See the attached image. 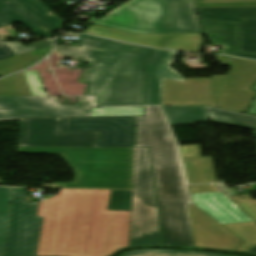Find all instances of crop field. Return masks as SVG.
<instances>
[{
  "mask_svg": "<svg viewBox=\"0 0 256 256\" xmlns=\"http://www.w3.org/2000/svg\"><path fill=\"white\" fill-rule=\"evenodd\" d=\"M88 22L136 34L201 32L193 0H130Z\"/></svg>",
  "mask_w": 256,
  "mask_h": 256,
  "instance_id": "412701ff",
  "label": "crop field"
},
{
  "mask_svg": "<svg viewBox=\"0 0 256 256\" xmlns=\"http://www.w3.org/2000/svg\"><path fill=\"white\" fill-rule=\"evenodd\" d=\"M18 151L59 154L77 173L74 183L44 187L132 189L134 148H18Z\"/></svg>",
  "mask_w": 256,
  "mask_h": 256,
  "instance_id": "34b2d1b8",
  "label": "crop field"
},
{
  "mask_svg": "<svg viewBox=\"0 0 256 256\" xmlns=\"http://www.w3.org/2000/svg\"><path fill=\"white\" fill-rule=\"evenodd\" d=\"M255 138H256V131H255Z\"/></svg>",
  "mask_w": 256,
  "mask_h": 256,
  "instance_id": "b54c1fbb",
  "label": "crop field"
},
{
  "mask_svg": "<svg viewBox=\"0 0 256 256\" xmlns=\"http://www.w3.org/2000/svg\"><path fill=\"white\" fill-rule=\"evenodd\" d=\"M2 41L0 40V43H1Z\"/></svg>",
  "mask_w": 256,
  "mask_h": 256,
  "instance_id": "5d738f31",
  "label": "crop field"
},
{
  "mask_svg": "<svg viewBox=\"0 0 256 256\" xmlns=\"http://www.w3.org/2000/svg\"><path fill=\"white\" fill-rule=\"evenodd\" d=\"M191 193L219 192L213 185L189 186Z\"/></svg>",
  "mask_w": 256,
  "mask_h": 256,
  "instance_id": "0bd39190",
  "label": "crop field"
},
{
  "mask_svg": "<svg viewBox=\"0 0 256 256\" xmlns=\"http://www.w3.org/2000/svg\"><path fill=\"white\" fill-rule=\"evenodd\" d=\"M61 118L20 121L19 147H97L100 132L60 133Z\"/></svg>",
  "mask_w": 256,
  "mask_h": 256,
  "instance_id": "3316defc",
  "label": "crop field"
},
{
  "mask_svg": "<svg viewBox=\"0 0 256 256\" xmlns=\"http://www.w3.org/2000/svg\"><path fill=\"white\" fill-rule=\"evenodd\" d=\"M161 246L148 149H135L131 246Z\"/></svg>",
  "mask_w": 256,
  "mask_h": 256,
  "instance_id": "dd49c442",
  "label": "crop field"
},
{
  "mask_svg": "<svg viewBox=\"0 0 256 256\" xmlns=\"http://www.w3.org/2000/svg\"><path fill=\"white\" fill-rule=\"evenodd\" d=\"M170 124L210 121L204 107H162Z\"/></svg>",
  "mask_w": 256,
  "mask_h": 256,
  "instance_id": "4177f3b9",
  "label": "crop field"
},
{
  "mask_svg": "<svg viewBox=\"0 0 256 256\" xmlns=\"http://www.w3.org/2000/svg\"><path fill=\"white\" fill-rule=\"evenodd\" d=\"M0 96H31L23 72L0 80Z\"/></svg>",
  "mask_w": 256,
  "mask_h": 256,
  "instance_id": "eef30255",
  "label": "crop field"
},
{
  "mask_svg": "<svg viewBox=\"0 0 256 256\" xmlns=\"http://www.w3.org/2000/svg\"><path fill=\"white\" fill-rule=\"evenodd\" d=\"M231 197L230 199L242 209L256 223V201H253L250 195Z\"/></svg>",
  "mask_w": 256,
  "mask_h": 256,
  "instance_id": "120bbe31",
  "label": "crop field"
},
{
  "mask_svg": "<svg viewBox=\"0 0 256 256\" xmlns=\"http://www.w3.org/2000/svg\"><path fill=\"white\" fill-rule=\"evenodd\" d=\"M20 23L34 33H40L45 38H53L49 28L41 24L39 21L25 13L23 10L9 2L8 0H0V27Z\"/></svg>",
  "mask_w": 256,
  "mask_h": 256,
  "instance_id": "92a150f3",
  "label": "crop field"
},
{
  "mask_svg": "<svg viewBox=\"0 0 256 256\" xmlns=\"http://www.w3.org/2000/svg\"><path fill=\"white\" fill-rule=\"evenodd\" d=\"M197 7L256 6V0H195Z\"/></svg>",
  "mask_w": 256,
  "mask_h": 256,
  "instance_id": "1d83c4d3",
  "label": "crop field"
},
{
  "mask_svg": "<svg viewBox=\"0 0 256 256\" xmlns=\"http://www.w3.org/2000/svg\"><path fill=\"white\" fill-rule=\"evenodd\" d=\"M55 50L71 60L87 61L78 82L88 84L83 95L96 96L114 70L121 54L58 45Z\"/></svg>",
  "mask_w": 256,
  "mask_h": 256,
  "instance_id": "d1516ede",
  "label": "crop field"
},
{
  "mask_svg": "<svg viewBox=\"0 0 256 256\" xmlns=\"http://www.w3.org/2000/svg\"><path fill=\"white\" fill-rule=\"evenodd\" d=\"M248 253L256 254V247H254L253 249H251L250 251H248Z\"/></svg>",
  "mask_w": 256,
  "mask_h": 256,
  "instance_id": "03da06ac",
  "label": "crop field"
},
{
  "mask_svg": "<svg viewBox=\"0 0 256 256\" xmlns=\"http://www.w3.org/2000/svg\"><path fill=\"white\" fill-rule=\"evenodd\" d=\"M253 89H256V86L253 88ZM248 113L250 114H256V99L255 101L253 102L251 108L249 109Z\"/></svg>",
  "mask_w": 256,
  "mask_h": 256,
  "instance_id": "c21b1889",
  "label": "crop field"
},
{
  "mask_svg": "<svg viewBox=\"0 0 256 256\" xmlns=\"http://www.w3.org/2000/svg\"><path fill=\"white\" fill-rule=\"evenodd\" d=\"M199 18L239 23V51L256 53V7L197 8Z\"/></svg>",
  "mask_w": 256,
  "mask_h": 256,
  "instance_id": "5142ce71",
  "label": "crop field"
},
{
  "mask_svg": "<svg viewBox=\"0 0 256 256\" xmlns=\"http://www.w3.org/2000/svg\"><path fill=\"white\" fill-rule=\"evenodd\" d=\"M6 45L16 54L27 53L52 46V40L43 41L41 43H33L22 46L20 42L6 43Z\"/></svg>",
  "mask_w": 256,
  "mask_h": 256,
  "instance_id": "5866460e",
  "label": "crop field"
},
{
  "mask_svg": "<svg viewBox=\"0 0 256 256\" xmlns=\"http://www.w3.org/2000/svg\"><path fill=\"white\" fill-rule=\"evenodd\" d=\"M163 105H207L215 107L210 78L163 79Z\"/></svg>",
  "mask_w": 256,
  "mask_h": 256,
  "instance_id": "d9b57169",
  "label": "crop field"
},
{
  "mask_svg": "<svg viewBox=\"0 0 256 256\" xmlns=\"http://www.w3.org/2000/svg\"><path fill=\"white\" fill-rule=\"evenodd\" d=\"M51 48L15 56V57L0 61V75L4 76V75L12 74L29 67L30 65L34 64L38 60L47 56L50 53Z\"/></svg>",
  "mask_w": 256,
  "mask_h": 256,
  "instance_id": "730fd06b",
  "label": "crop field"
},
{
  "mask_svg": "<svg viewBox=\"0 0 256 256\" xmlns=\"http://www.w3.org/2000/svg\"><path fill=\"white\" fill-rule=\"evenodd\" d=\"M190 184L219 182L212 157L182 159Z\"/></svg>",
  "mask_w": 256,
  "mask_h": 256,
  "instance_id": "dafd665d",
  "label": "crop field"
},
{
  "mask_svg": "<svg viewBox=\"0 0 256 256\" xmlns=\"http://www.w3.org/2000/svg\"><path fill=\"white\" fill-rule=\"evenodd\" d=\"M187 208L195 247L234 251L244 242L195 205Z\"/></svg>",
  "mask_w": 256,
  "mask_h": 256,
  "instance_id": "cbeb9de0",
  "label": "crop field"
},
{
  "mask_svg": "<svg viewBox=\"0 0 256 256\" xmlns=\"http://www.w3.org/2000/svg\"><path fill=\"white\" fill-rule=\"evenodd\" d=\"M206 109L212 121L227 126L256 130V116L212 107H206Z\"/></svg>",
  "mask_w": 256,
  "mask_h": 256,
  "instance_id": "00972430",
  "label": "crop field"
},
{
  "mask_svg": "<svg viewBox=\"0 0 256 256\" xmlns=\"http://www.w3.org/2000/svg\"><path fill=\"white\" fill-rule=\"evenodd\" d=\"M26 189L13 188L7 243L4 256H35L42 217L37 203H24Z\"/></svg>",
  "mask_w": 256,
  "mask_h": 256,
  "instance_id": "d8731c3e",
  "label": "crop field"
},
{
  "mask_svg": "<svg viewBox=\"0 0 256 256\" xmlns=\"http://www.w3.org/2000/svg\"><path fill=\"white\" fill-rule=\"evenodd\" d=\"M229 58L230 71L225 76H210L217 107L246 113L256 91V61Z\"/></svg>",
  "mask_w": 256,
  "mask_h": 256,
  "instance_id": "e52e79f7",
  "label": "crop field"
},
{
  "mask_svg": "<svg viewBox=\"0 0 256 256\" xmlns=\"http://www.w3.org/2000/svg\"><path fill=\"white\" fill-rule=\"evenodd\" d=\"M132 191H112L108 210H131Z\"/></svg>",
  "mask_w": 256,
  "mask_h": 256,
  "instance_id": "bd1437ed",
  "label": "crop field"
},
{
  "mask_svg": "<svg viewBox=\"0 0 256 256\" xmlns=\"http://www.w3.org/2000/svg\"><path fill=\"white\" fill-rule=\"evenodd\" d=\"M15 56V54L5 45L0 44V60Z\"/></svg>",
  "mask_w": 256,
  "mask_h": 256,
  "instance_id": "b80d0937",
  "label": "crop field"
},
{
  "mask_svg": "<svg viewBox=\"0 0 256 256\" xmlns=\"http://www.w3.org/2000/svg\"><path fill=\"white\" fill-rule=\"evenodd\" d=\"M131 211H106L98 256L129 247Z\"/></svg>",
  "mask_w": 256,
  "mask_h": 256,
  "instance_id": "4a817a6b",
  "label": "crop field"
},
{
  "mask_svg": "<svg viewBox=\"0 0 256 256\" xmlns=\"http://www.w3.org/2000/svg\"><path fill=\"white\" fill-rule=\"evenodd\" d=\"M91 116H143V107L93 108Z\"/></svg>",
  "mask_w": 256,
  "mask_h": 256,
  "instance_id": "750c4746",
  "label": "crop field"
},
{
  "mask_svg": "<svg viewBox=\"0 0 256 256\" xmlns=\"http://www.w3.org/2000/svg\"><path fill=\"white\" fill-rule=\"evenodd\" d=\"M10 199L11 188L0 187V256L3 253Z\"/></svg>",
  "mask_w": 256,
  "mask_h": 256,
  "instance_id": "d3111659",
  "label": "crop field"
},
{
  "mask_svg": "<svg viewBox=\"0 0 256 256\" xmlns=\"http://www.w3.org/2000/svg\"><path fill=\"white\" fill-rule=\"evenodd\" d=\"M245 242L236 251L246 252L256 246V225L253 222L224 225Z\"/></svg>",
  "mask_w": 256,
  "mask_h": 256,
  "instance_id": "ae1a2a85",
  "label": "crop field"
},
{
  "mask_svg": "<svg viewBox=\"0 0 256 256\" xmlns=\"http://www.w3.org/2000/svg\"><path fill=\"white\" fill-rule=\"evenodd\" d=\"M137 117L135 147H150L164 246L194 247L186 205L191 204L174 138L158 107Z\"/></svg>",
  "mask_w": 256,
  "mask_h": 256,
  "instance_id": "8a807250",
  "label": "crop field"
},
{
  "mask_svg": "<svg viewBox=\"0 0 256 256\" xmlns=\"http://www.w3.org/2000/svg\"><path fill=\"white\" fill-rule=\"evenodd\" d=\"M91 104L88 97L78 98L73 105H60L58 97H0V120L90 116Z\"/></svg>",
  "mask_w": 256,
  "mask_h": 256,
  "instance_id": "5a996713",
  "label": "crop field"
},
{
  "mask_svg": "<svg viewBox=\"0 0 256 256\" xmlns=\"http://www.w3.org/2000/svg\"><path fill=\"white\" fill-rule=\"evenodd\" d=\"M83 32L129 43L187 52H199L203 41L201 33L136 35L95 24Z\"/></svg>",
  "mask_w": 256,
  "mask_h": 256,
  "instance_id": "22f410ed",
  "label": "crop field"
},
{
  "mask_svg": "<svg viewBox=\"0 0 256 256\" xmlns=\"http://www.w3.org/2000/svg\"><path fill=\"white\" fill-rule=\"evenodd\" d=\"M202 34L210 37L212 44L224 45L221 54L255 59L256 55L237 53V24L199 19Z\"/></svg>",
  "mask_w": 256,
  "mask_h": 256,
  "instance_id": "214f88e0",
  "label": "crop field"
},
{
  "mask_svg": "<svg viewBox=\"0 0 256 256\" xmlns=\"http://www.w3.org/2000/svg\"><path fill=\"white\" fill-rule=\"evenodd\" d=\"M120 256H175L170 250H138L121 254Z\"/></svg>",
  "mask_w": 256,
  "mask_h": 256,
  "instance_id": "028f5c9d",
  "label": "crop field"
},
{
  "mask_svg": "<svg viewBox=\"0 0 256 256\" xmlns=\"http://www.w3.org/2000/svg\"><path fill=\"white\" fill-rule=\"evenodd\" d=\"M12 3L26 11L28 14L42 22L54 31L61 28L65 21L50 13L40 0H10Z\"/></svg>",
  "mask_w": 256,
  "mask_h": 256,
  "instance_id": "a9b5d70f",
  "label": "crop field"
},
{
  "mask_svg": "<svg viewBox=\"0 0 256 256\" xmlns=\"http://www.w3.org/2000/svg\"><path fill=\"white\" fill-rule=\"evenodd\" d=\"M38 73L37 71H24L31 95L46 96Z\"/></svg>",
  "mask_w": 256,
  "mask_h": 256,
  "instance_id": "d32e631a",
  "label": "crop field"
},
{
  "mask_svg": "<svg viewBox=\"0 0 256 256\" xmlns=\"http://www.w3.org/2000/svg\"><path fill=\"white\" fill-rule=\"evenodd\" d=\"M178 53L155 49L146 63L145 105H162V78L184 81L169 64Z\"/></svg>",
  "mask_w": 256,
  "mask_h": 256,
  "instance_id": "733c2abd",
  "label": "crop field"
},
{
  "mask_svg": "<svg viewBox=\"0 0 256 256\" xmlns=\"http://www.w3.org/2000/svg\"><path fill=\"white\" fill-rule=\"evenodd\" d=\"M76 47L123 53L111 77L96 96V106L143 105L144 63L151 48L80 34Z\"/></svg>",
  "mask_w": 256,
  "mask_h": 256,
  "instance_id": "f4fd0767",
  "label": "crop field"
},
{
  "mask_svg": "<svg viewBox=\"0 0 256 256\" xmlns=\"http://www.w3.org/2000/svg\"><path fill=\"white\" fill-rule=\"evenodd\" d=\"M134 117L62 118L61 132L101 131L98 147H133Z\"/></svg>",
  "mask_w": 256,
  "mask_h": 256,
  "instance_id": "28ad6ade",
  "label": "crop field"
},
{
  "mask_svg": "<svg viewBox=\"0 0 256 256\" xmlns=\"http://www.w3.org/2000/svg\"><path fill=\"white\" fill-rule=\"evenodd\" d=\"M108 194L61 190L47 200L36 256H97Z\"/></svg>",
  "mask_w": 256,
  "mask_h": 256,
  "instance_id": "ac0d7876",
  "label": "crop field"
},
{
  "mask_svg": "<svg viewBox=\"0 0 256 256\" xmlns=\"http://www.w3.org/2000/svg\"><path fill=\"white\" fill-rule=\"evenodd\" d=\"M176 256H220L209 253H200V252H184V251H175Z\"/></svg>",
  "mask_w": 256,
  "mask_h": 256,
  "instance_id": "c035e120",
  "label": "crop field"
},
{
  "mask_svg": "<svg viewBox=\"0 0 256 256\" xmlns=\"http://www.w3.org/2000/svg\"><path fill=\"white\" fill-rule=\"evenodd\" d=\"M182 158L201 156L199 145L179 146Z\"/></svg>",
  "mask_w": 256,
  "mask_h": 256,
  "instance_id": "e1f06a70",
  "label": "crop field"
},
{
  "mask_svg": "<svg viewBox=\"0 0 256 256\" xmlns=\"http://www.w3.org/2000/svg\"><path fill=\"white\" fill-rule=\"evenodd\" d=\"M191 195L194 204L220 224L251 221L221 193Z\"/></svg>",
  "mask_w": 256,
  "mask_h": 256,
  "instance_id": "bc2a9ffb",
  "label": "crop field"
}]
</instances>
